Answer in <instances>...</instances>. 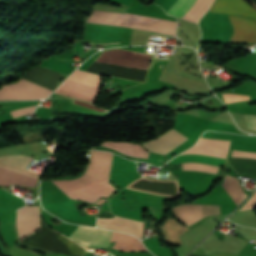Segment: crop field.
I'll list each match as a JSON object with an SVG mask.
<instances>
[{
    "label": "crop field",
    "mask_w": 256,
    "mask_h": 256,
    "mask_svg": "<svg viewBox=\"0 0 256 256\" xmlns=\"http://www.w3.org/2000/svg\"><path fill=\"white\" fill-rule=\"evenodd\" d=\"M55 93L92 103L98 88L66 79Z\"/></svg>",
    "instance_id": "crop-field-9"
},
{
    "label": "crop field",
    "mask_w": 256,
    "mask_h": 256,
    "mask_svg": "<svg viewBox=\"0 0 256 256\" xmlns=\"http://www.w3.org/2000/svg\"><path fill=\"white\" fill-rule=\"evenodd\" d=\"M111 232L112 231L102 230L98 228L79 226L70 237L76 239L80 244L86 247H108V245L110 244L109 239L111 236Z\"/></svg>",
    "instance_id": "crop-field-6"
},
{
    "label": "crop field",
    "mask_w": 256,
    "mask_h": 256,
    "mask_svg": "<svg viewBox=\"0 0 256 256\" xmlns=\"http://www.w3.org/2000/svg\"><path fill=\"white\" fill-rule=\"evenodd\" d=\"M183 170H200V171H205L209 173H217V170L219 167H213V166H207V165H202V164H197V163H183L182 164Z\"/></svg>",
    "instance_id": "crop-field-17"
},
{
    "label": "crop field",
    "mask_w": 256,
    "mask_h": 256,
    "mask_svg": "<svg viewBox=\"0 0 256 256\" xmlns=\"http://www.w3.org/2000/svg\"><path fill=\"white\" fill-rule=\"evenodd\" d=\"M172 211L189 226L203 217L220 214L219 206L200 204L178 205L173 207Z\"/></svg>",
    "instance_id": "crop-field-5"
},
{
    "label": "crop field",
    "mask_w": 256,
    "mask_h": 256,
    "mask_svg": "<svg viewBox=\"0 0 256 256\" xmlns=\"http://www.w3.org/2000/svg\"><path fill=\"white\" fill-rule=\"evenodd\" d=\"M102 145L134 157L147 158L149 154L142 148V146L131 143H113L105 141Z\"/></svg>",
    "instance_id": "crop-field-14"
},
{
    "label": "crop field",
    "mask_w": 256,
    "mask_h": 256,
    "mask_svg": "<svg viewBox=\"0 0 256 256\" xmlns=\"http://www.w3.org/2000/svg\"><path fill=\"white\" fill-rule=\"evenodd\" d=\"M40 228L39 208L26 206L18 210L17 230L19 240L37 231Z\"/></svg>",
    "instance_id": "crop-field-8"
},
{
    "label": "crop field",
    "mask_w": 256,
    "mask_h": 256,
    "mask_svg": "<svg viewBox=\"0 0 256 256\" xmlns=\"http://www.w3.org/2000/svg\"><path fill=\"white\" fill-rule=\"evenodd\" d=\"M113 44H119V43H113Z\"/></svg>",
    "instance_id": "crop-field-22"
},
{
    "label": "crop field",
    "mask_w": 256,
    "mask_h": 256,
    "mask_svg": "<svg viewBox=\"0 0 256 256\" xmlns=\"http://www.w3.org/2000/svg\"><path fill=\"white\" fill-rule=\"evenodd\" d=\"M246 116L248 127L250 129L256 130V116Z\"/></svg>",
    "instance_id": "crop-field-21"
},
{
    "label": "crop field",
    "mask_w": 256,
    "mask_h": 256,
    "mask_svg": "<svg viewBox=\"0 0 256 256\" xmlns=\"http://www.w3.org/2000/svg\"><path fill=\"white\" fill-rule=\"evenodd\" d=\"M69 79H73V80L80 81V82L97 86V87L100 84V76L77 71V70L69 77Z\"/></svg>",
    "instance_id": "crop-field-16"
},
{
    "label": "crop field",
    "mask_w": 256,
    "mask_h": 256,
    "mask_svg": "<svg viewBox=\"0 0 256 256\" xmlns=\"http://www.w3.org/2000/svg\"><path fill=\"white\" fill-rule=\"evenodd\" d=\"M112 156L113 154L109 152L91 151L90 165L86 174L107 182ZM87 175H84L75 180L97 196L106 197L114 190L108 183ZM76 181L66 180L52 182L57 185L70 198L90 203H94L99 198L84 187H82Z\"/></svg>",
    "instance_id": "crop-field-1"
},
{
    "label": "crop field",
    "mask_w": 256,
    "mask_h": 256,
    "mask_svg": "<svg viewBox=\"0 0 256 256\" xmlns=\"http://www.w3.org/2000/svg\"><path fill=\"white\" fill-rule=\"evenodd\" d=\"M222 186L233 198L237 205L247 196L238 179L234 177L226 175Z\"/></svg>",
    "instance_id": "crop-field-15"
},
{
    "label": "crop field",
    "mask_w": 256,
    "mask_h": 256,
    "mask_svg": "<svg viewBox=\"0 0 256 256\" xmlns=\"http://www.w3.org/2000/svg\"><path fill=\"white\" fill-rule=\"evenodd\" d=\"M212 1L213 0H203V2L202 0H177L167 13L188 20L190 15L202 2L189 18V21L197 23L201 16L206 12Z\"/></svg>",
    "instance_id": "crop-field-4"
},
{
    "label": "crop field",
    "mask_w": 256,
    "mask_h": 256,
    "mask_svg": "<svg viewBox=\"0 0 256 256\" xmlns=\"http://www.w3.org/2000/svg\"><path fill=\"white\" fill-rule=\"evenodd\" d=\"M226 103L249 99V96L226 93L222 94Z\"/></svg>",
    "instance_id": "crop-field-18"
},
{
    "label": "crop field",
    "mask_w": 256,
    "mask_h": 256,
    "mask_svg": "<svg viewBox=\"0 0 256 256\" xmlns=\"http://www.w3.org/2000/svg\"><path fill=\"white\" fill-rule=\"evenodd\" d=\"M87 22L175 34L177 22L118 12L94 10Z\"/></svg>",
    "instance_id": "crop-field-2"
},
{
    "label": "crop field",
    "mask_w": 256,
    "mask_h": 256,
    "mask_svg": "<svg viewBox=\"0 0 256 256\" xmlns=\"http://www.w3.org/2000/svg\"><path fill=\"white\" fill-rule=\"evenodd\" d=\"M38 179L28 177L16 172L0 168V184L9 186L11 184L21 186H35Z\"/></svg>",
    "instance_id": "crop-field-13"
},
{
    "label": "crop field",
    "mask_w": 256,
    "mask_h": 256,
    "mask_svg": "<svg viewBox=\"0 0 256 256\" xmlns=\"http://www.w3.org/2000/svg\"><path fill=\"white\" fill-rule=\"evenodd\" d=\"M36 106L33 107H27V108H22V109H18V110H14L11 111V115L13 116V118L18 117L20 115H24V114H31L33 113V110L35 109Z\"/></svg>",
    "instance_id": "crop-field-19"
},
{
    "label": "crop field",
    "mask_w": 256,
    "mask_h": 256,
    "mask_svg": "<svg viewBox=\"0 0 256 256\" xmlns=\"http://www.w3.org/2000/svg\"><path fill=\"white\" fill-rule=\"evenodd\" d=\"M210 11L228 14H238L253 17L256 20V11L243 0H215Z\"/></svg>",
    "instance_id": "crop-field-11"
},
{
    "label": "crop field",
    "mask_w": 256,
    "mask_h": 256,
    "mask_svg": "<svg viewBox=\"0 0 256 256\" xmlns=\"http://www.w3.org/2000/svg\"><path fill=\"white\" fill-rule=\"evenodd\" d=\"M232 156H235V157H248V158H255L256 159V153L244 152V151L232 150Z\"/></svg>",
    "instance_id": "crop-field-20"
},
{
    "label": "crop field",
    "mask_w": 256,
    "mask_h": 256,
    "mask_svg": "<svg viewBox=\"0 0 256 256\" xmlns=\"http://www.w3.org/2000/svg\"><path fill=\"white\" fill-rule=\"evenodd\" d=\"M234 31L229 43H256V22L253 19L228 15Z\"/></svg>",
    "instance_id": "crop-field-7"
},
{
    "label": "crop field",
    "mask_w": 256,
    "mask_h": 256,
    "mask_svg": "<svg viewBox=\"0 0 256 256\" xmlns=\"http://www.w3.org/2000/svg\"><path fill=\"white\" fill-rule=\"evenodd\" d=\"M187 138L177 130L173 129L165 134L159 136L157 139L143 143L146 149L156 153H167L182 142L186 141Z\"/></svg>",
    "instance_id": "crop-field-10"
},
{
    "label": "crop field",
    "mask_w": 256,
    "mask_h": 256,
    "mask_svg": "<svg viewBox=\"0 0 256 256\" xmlns=\"http://www.w3.org/2000/svg\"><path fill=\"white\" fill-rule=\"evenodd\" d=\"M32 159L33 158L31 157L21 156V155L2 156L0 157V166L11 169V170H15L27 175L38 177L39 175L38 173L33 171H27L24 169Z\"/></svg>",
    "instance_id": "crop-field-12"
},
{
    "label": "crop field",
    "mask_w": 256,
    "mask_h": 256,
    "mask_svg": "<svg viewBox=\"0 0 256 256\" xmlns=\"http://www.w3.org/2000/svg\"><path fill=\"white\" fill-rule=\"evenodd\" d=\"M52 90L22 78L18 83L0 89V99H40Z\"/></svg>",
    "instance_id": "crop-field-3"
}]
</instances>
